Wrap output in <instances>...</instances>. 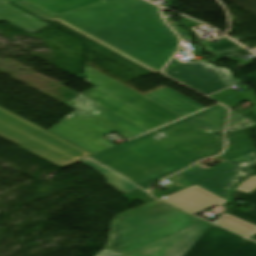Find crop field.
Masks as SVG:
<instances>
[{
    "label": "crop field",
    "mask_w": 256,
    "mask_h": 256,
    "mask_svg": "<svg viewBox=\"0 0 256 256\" xmlns=\"http://www.w3.org/2000/svg\"><path fill=\"white\" fill-rule=\"evenodd\" d=\"M224 144L187 117L90 158L143 187L222 152Z\"/></svg>",
    "instance_id": "1"
},
{
    "label": "crop field",
    "mask_w": 256,
    "mask_h": 256,
    "mask_svg": "<svg viewBox=\"0 0 256 256\" xmlns=\"http://www.w3.org/2000/svg\"><path fill=\"white\" fill-rule=\"evenodd\" d=\"M58 18L159 71L179 46L157 6L143 0H112Z\"/></svg>",
    "instance_id": "2"
},
{
    "label": "crop field",
    "mask_w": 256,
    "mask_h": 256,
    "mask_svg": "<svg viewBox=\"0 0 256 256\" xmlns=\"http://www.w3.org/2000/svg\"><path fill=\"white\" fill-rule=\"evenodd\" d=\"M203 222L157 201L121 215L107 250L121 256Z\"/></svg>",
    "instance_id": "3"
},
{
    "label": "crop field",
    "mask_w": 256,
    "mask_h": 256,
    "mask_svg": "<svg viewBox=\"0 0 256 256\" xmlns=\"http://www.w3.org/2000/svg\"><path fill=\"white\" fill-rule=\"evenodd\" d=\"M65 105L75 110L47 131L95 155L115 147L101 139L105 134L130 139L148 132L81 96Z\"/></svg>",
    "instance_id": "4"
},
{
    "label": "crop field",
    "mask_w": 256,
    "mask_h": 256,
    "mask_svg": "<svg viewBox=\"0 0 256 256\" xmlns=\"http://www.w3.org/2000/svg\"><path fill=\"white\" fill-rule=\"evenodd\" d=\"M229 146L223 154L230 161L214 167L200 163L177 174L228 200V192L255 170L256 148L247 135L230 138Z\"/></svg>",
    "instance_id": "5"
},
{
    "label": "crop field",
    "mask_w": 256,
    "mask_h": 256,
    "mask_svg": "<svg viewBox=\"0 0 256 256\" xmlns=\"http://www.w3.org/2000/svg\"><path fill=\"white\" fill-rule=\"evenodd\" d=\"M0 126L72 163L93 156L1 107Z\"/></svg>",
    "instance_id": "6"
},
{
    "label": "crop field",
    "mask_w": 256,
    "mask_h": 256,
    "mask_svg": "<svg viewBox=\"0 0 256 256\" xmlns=\"http://www.w3.org/2000/svg\"><path fill=\"white\" fill-rule=\"evenodd\" d=\"M165 73L207 95L241 82L233 79L228 69L205 61L182 64L174 58Z\"/></svg>",
    "instance_id": "7"
},
{
    "label": "crop field",
    "mask_w": 256,
    "mask_h": 256,
    "mask_svg": "<svg viewBox=\"0 0 256 256\" xmlns=\"http://www.w3.org/2000/svg\"><path fill=\"white\" fill-rule=\"evenodd\" d=\"M85 74L88 77L85 82L166 124L182 118L170 110L145 98L146 96L144 97L111 78L95 71L87 65H85Z\"/></svg>",
    "instance_id": "8"
},
{
    "label": "crop field",
    "mask_w": 256,
    "mask_h": 256,
    "mask_svg": "<svg viewBox=\"0 0 256 256\" xmlns=\"http://www.w3.org/2000/svg\"><path fill=\"white\" fill-rule=\"evenodd\" d=\"M185 256H256V243L211 225Z\"/></svg>",
    "instance_id": "9"
},
{
    "label": "crop field",
    "mask_w": 256,
    "mask_h": 256,
    "mask_svg": "<svg viewBox=\"0 0 256 256\" xmlns=\"http://www.w3.org/2000/svg\"><path fill=\"white\" fill-rule=\"evenodd\" d=\"M209 224L205 222L123 256H183Z\"/></svg>",
    "instance_id": "10"
},
{
    "label": "crop field",
    "mask_w": 256,
    "mask_h": 256,
    "mask_svg": "<svg viewBox=\"0 0 256 256\" xmlns=\"http://www.w3.org/2000/svg\"><path fill=\"white\" fill-rule=\"evenodd\" d=\"M80 95L149 131L165 125L95 88Z\"/></svg>",
    "instance_id": "11"
},
{
    "label": "crop field",
    "mask_w": 256,
    "mask_h": 256,
    "mask_svg": "<svg viewBox=\"0 0 256 256\" xmlns=\"http://www.w3.org/2000/svg\"><path fill=\"white\" fill-rule=\"evenodd\" d=\"M160 199L194 214L204 211L217 204L224 206L225 202L227 201L197 185H193Z\"/></svg>",
    "instance_id": "12"
},
{
    "label": "crop field",
    "mask_w": 256,
    "mask_h": 256,
    "mask_svg": "<svg viewBox=\"0 0 256 256\" xmlns=\"http://www.w3.org/2000/svg\"><path fill=\"white\" fill-rule=\"evenodd\" d=\"M145 96L183 117L205 108L167 87Z\"/></svg>",
    "instance_id": "13"
},
{
    "label": "crop field",
    "mask_w": 256,
    "mask_h": 256,
    "mask_svg": "<svg viewBox=\"0 0 256 256\" xmlns=\"http://www.w3.org/2000/svg\"><path fill=\"white\" fill-rule=\"evenodd\" d=\"M0 19L27 32H38L50 25L9 2L0 4Z\"/></svg>",
    "instance_id": "14"
},
{
    "label": "crop field",
    "mask_w": 256,
    "mask_h": 256,
    "mask_svg": "<svg viewBox=\"0 0 256 256\" xmlns=\"http://www.w3.org/2000/svg\"><path fill=\"white\" fill-rule=\"evenodd\" d=\"M56 16L96 5L105 0H26Z\"/></svg>",
    "instance_id": "15"
},
{
    "label": "crop field",
    "mask_w": 256,
    "mask_h": 256,
    "mask_svg": "<svg viewBox=\"0 0 256 256\" xmlns=\"http://www.w3.org/2000/svg\"><path fill=\"white\" fill-rule=\"evenodd\" d=\"M0 137H2L4 139L18 145V146L30 151L31 153H33V154L51 162V163H53V164H55V165H57L61 168L71 164L70 162H68V161H66V160H64V159L46 151V150H44V149L26 141V140H24V139H22V138H20L16 135H14L13 133H11V132H9V131L1 128V127H0Z\"/></svg>",
    "instance_id": "16"
},
{
    "label": "crop field",
    "mask_w": 256,
    "mask_h": 256,
    "mask_svg": "<svg viewBox=\"0 0 256 256\" xmlns=\"http://www.w3.org/2000/svg\"><path fill=\"white\" fill-rule=\"evenodd\" d=\"M227 116L228 110L218 105L189 117L215 132H222L227 122Z\"/></svg>",
    "instance_id": "17"
},
{
    "label": "crop field",
    "mask_w": 256,
    "mask_h": 256,
    "mask_svg": "<svg viewBox=\"0 0 256 256\" xmlns=\"http://www.w3.org/2000/svg\"><path fill=\"white\" fill-rule=\"evenodd\" d=\"M81 163L103 174L107 178L108 185L112 186L113 188L119 190L124 194L139 189L138 187L114 175L113 173L107 171L106 169L102 168L101 166L95 164L90 160H85Z\"/></svg>",
    "instance_id": "18"
},
{
    "label": "crop field",
    "mask_w": 256,
    "mask_h": 256,
    "mask_svg": "<svg viewBox=\"0 0 256 256\" xmlns=\"http://www.w3.org/2000/svg\"><path fill=\"white\" fill-rule=\"evenodd\" d=\"M211 97L230 108L238 106V104L242 101H248L256 104V94L252 90L240 94L232 89H229Z\"/></svg>",
    "instance_id": "19"
},
{
    "label": "crop field",
    "mask_w": 256,
    "mask_h": 256,
    "mask_svg": "<svg viewBox=\"0 0 256 256\" xmlns=\"http://www.w3.org/2000/svg\"><path fill=\"white\" fill-rule=\"evenodd\" d=\"M214 223L220 224L228 229H231L237 233L244 236H249L256 232V226L235 218L231 215L223 213L219 218H217Z\"/></svg>",
    "instance_id": "20"
},
{
    "label": "crop field",
    "mask_w": 256,
    "mask_h": 256,
    "mask_svg": "<svg viewBox=\"0 0 256 256\" xmlns=\"http://www.w3.org/2000/svg\"><path fill=\"white\" fill-rule=\"evenodd\" d=\"M203 45L217 55L215 58L212 59V61L248 53L247 51L243 50L242 47L238 46L230 40L214 45H211L208 42H203Z\"/></svg>",
    "instance_id": "21"
},
{
    "label": "crop field",
    "mask_w": 256,
    "mask_h": 256,
    "mask_svg": "<svg viewBox=\"0 0 256 256\" xmlns=\"http://www.w3.org/2000/svg\"><path fill=\"white\" fill-rule=\"evenodd\" d=\"M233 198L252 206L251 208L245 211L253 215H256V190L250 194L235 191L233 192Z\"/></svg>",
    "instance_id": "22"
},
{
    "label": "crop field",
    "mask_w": 256,
    "mask_h": 256,
    "mask_svg": "<svg viewBox=\"0 0 256 256\" xmlns=\"http://www.w3.org/2000/svg\"><path fill=\"white\" fill-rule=\"evenodd\" d=\"M14 5H16V6L20 7V8H22V9H24V10H26V11L32 13V14H34V15H36L37 17H39V18H41V19H43L45 21H47V20H49L51 18L56 17V16H54V15H52V14H50V13H48V12H46V11L36 7V6H34V5H32V4H30V3H28V2H26L24 0H22L20 2H17Z\"/></svg>",
    "instance_id": "23"
},
{
    "label": "crop field",
    "mask_w": 256,
    "mask_h": 256,
    "mask_svg": "<svg viewBox=\"0 0 256 256\" xmlns=\"http://www.w3.org/2000/svg\"><path fill=\"white\" fill-rule=\"evenodd\" d=\"M250 125H256V123L244 118L234 111L231 112L228 130H239Z\"/></svg>",
    "instance_id": "24"
},
{
    "label": "crop field",
    "mask_w": 256,
    "mask_h": 256,
    "mask_svg": "<svg viewBox=\"0 0 256 256\" xmlns=\"http://www.w3.org/2000/svg\"><path fill=\"white\" fill-rule=\"evenodd\" d=\"M54 19L57 20V21H59V22H61V23H63V24H65V25H67L68 27H70V28H72V29H74V30H76V31H78V32H80V33H82L83 35H85V36H87V37H89V38H91V39L97 41L98 43H100V44H102V45H104V46L110 48L111 50H113V51H115V52H117V53H119V54L125 56L126 58H128V59H130V60H132V61H134V62H136V63H138V64H140L141 66H143V67H145V68H147V69H149V70H151V71H153V72H155V73L158 72L157 70H155V69H153V68H151V67H149V66L143 64L142 62H140V61H138V60H136V59H134V58H132V57L126 55L125 53H123V52H121V51H119V50H117V49H115V48L109 46L108 44H106V43H104V42H102V41H100V40H98V39L92 37L91 35H89V34L83 32V31H81V30L75 28L74 26H72V25H70V24H68V23H66V22H64V21H62V20H60V19H58V18H54Z\"/></svg>",
    "instance_id": "25"
},
{
    "label": "crop field",
    "mask_w": 256,
    "mask_h": 256,
    "mask_svg": "<svg viewBox=\"0 0 256 256\" xmlns=\"http://www.w3.org/2000/svg\"><path fill=\"white\" fill-rule=\"evenodd\" d=\"M226 213L231 214L235 217H238L240 219H243L245 221H248L250 223H253L256 225V216H253L251 214H248L246 212H243L237 208H234L232 206H228V209L226 210Z\"/></svg>",
    "instance_id": "26"
},
{
    "label": "crop field",
    "mask_w": 256,
    "mask_h": 256,
    "mask_svg": "<svg viewBox=\"0 0 256 256\" xmlns=\"http://www.w3.org/2000/svg\"><path fill=\"white\" fill-rule=\"evenodd\" d=\"M255 189H256V176L251 177L246 181H244L240 186L237 187L236 190L249 193Z\"/></svg>",
    "instance_id": "27"
},
{
    "label": "crop field",
    "mask_w": 256,
    "mask_h": 256,
    "mask_svg": "<svg viewBox=\"0 0 256 256\" xmlns=\"http://www.w3.org/2000/svg\"><path fill=\"white\" fill-rule=\"evenodd\" d=\"M183 23H185L188 27H191V26H198V25H201L195 21H192V20H188V19H184L182 20Z\"/></svg>",
    "instance_id": "28"
},
{
    "label": "crop field",
    "mask_w": 256,
    "mask_h": 256,
    "mask_svg": "<svg viewBox=\"0 0 256 256\" xmlns=\"http://www.w3.org/2000/svg\"><path fill=\"white\" fill-rule=\"evenodd\" d=\"M97 256H117V255H115L107 250H104V251L100 252Z\"/></svg>",
    "instance_id": "29"
},
{
    "label": "crop field",
    "mask_w": 256,
    "mask_h": 256,
    "mask_svg": "<svg viewBox=\"0 0 256 256\" xmlns=\"http://www.w3.org/2000/svg\"><path fill=\"white\" fill-rule=\"evenodd\" d=\"M173 28L183 38V40L188 39L177 26H174Z\"/></svg>",
    "instance_id": "30"
},
{
    "label": "crop field",
    "mask_w": 256,
    "mask_h": 256,
    "mask_svg": "<svg viewBox=\"0 0 256 256\" xmlns=\"http://www.w3.org/2000/svg\"><path fill=\"white\" fill-rule=\"evenodd\" d=\"M249 112H256V107H253V108H250L248 110H245V112L240 113V114L244 115V114L249 113Z\"/></svg>",
    "instance_id": "31"
},
{
    "label": "crop field",
    "mask_w": 256,
    "mask_h": 256,
    "mask_svg": "<svg viewBox=\"0 0 256 256\" xmlns=\"http://www.w3.org/2000/svg\"><path fill=\"white\" fill-rule=\"evenodd\" d=\"M244 134H246V133L244 132V133H240V134H231V135H227V137L230 138V137H235V136L244 135Z\"/></svg>",
    "instance_id": "32"
},
{
    "label": "crop field",
    "mask_w": 256,
    "mask_h": 256,
    "mask_svg": "<svg viewBox=\"0 0 256 256\" xmlns=\"http://www.w3.org/2000/svg\"><path fill=\"white\" fill-rule=\"evenodd\" d=\"M246 77H249V78H252V79H255L256 80V72L251 74V75H248Z\"/></svg>",
    "instance_id": "33"
},
{
    "label": "crop field",
    "mask_w": 256,
    "mask_h": 256,
    "mask_svg": "<svg viewBox=\"0 0 256 256\" xmlns=\"http://www.w3.org/2000/svg\"><path fill=\"white\" fill-rule=\"evenodd\" d=\"M10 3H14V2H17L19 0H8Z\"/></svg>",
    "instance_id": "34"
},
{
    "label": "crop field",
    "mask_w": 256,
    "mask_h": 256,
    "mask_svg": "<svg viewBox=\"0 0 256 256\" xmlns=\"http://www.w3.org/2000/svg\"><path fill=\"white\" fill-rule=\"evenodd\" d=\"M250 238H252V239L256 240V235H254V236H252V237H250Z\"/></svg>",
    "instance_id": "35"
},
{
    "label": "crop field",
    "mask_w": 256,
    "mask_h": 256,
    "mask_svg": "<svg viewBox=\"0 0 256 256\" xmlns=\"http://www.w3.org/2000/svg\"><path fill=\"white\" fill-rule=\"evenodd\" d=\"M7 2L6 0H0V3Z\"/></svg>",
    "instance_id": "36"
},
{
    "label": "crop field",
    "mask_w": 256,
    "mask_h": 256,
    "mask_svg": "<svg viewBox=\"0 0 256 256\" xmlns=\"http://www.w3.org/2000/svg\"><path fill=\"white\" fill-rule=\"evenodd\" d=\"M0 22H2V20H0Z\"/></svg>",
    "instance_id": "37"
},
{
    "label": "crop field",
    "mask_w": 256,
    "mask_h": 256,
    "mask_svg": "<svg viewBox=\"0 0 256 256\" xmlns=\"http://www.w3.org/2000/svg\"><path fill=\"white\" fill-rule=\"evenodd\" d=\"M107 1H109V0H107Z\"/></svg>",
    "instance_id": "38"
}]
</instances>
